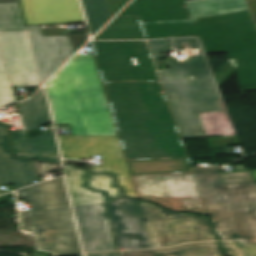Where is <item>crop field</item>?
<instances>
[{
    "instance_id": "1d83c4d3",
    "label": "crop field",
    "mask_w": 256,
    "mask_h": 256,
    "mask_svg": "<svg viewBox=\"0 0 256 256\" xmlns=\"http://www.w3.org/2000/svg\"><path fill=\"white\" fill-rule=\"evenodd\" d=\"M250 256H256V246H246Z\"/></svg>"
},
{
    "instance_id": "412701ff",
    "label": "crop field",
    "mask_w": 256,
    "mask_h": 256,
    "mask_svg": "<svg viewBox=\"0 0 256 256\" xmlns=\"http://www.w3.org/2000/svg\"><path fill=\"white\" fill-rule=\"evenodd\" d=\"M31 202L19 212L21 226L34 232L37 250L53 256L82 254L63 179L58 178L17 191Z\"/></svg>"
},
{
    "instance_id": "730fd06b",
    "label": "crop field",
    "mask_w": 256,
    "mask_h": 256,
    "mask_svg": "<svg viewBox=\"0 0 256 256\" xmlns=\"http://www.w3.org/2000/svg\"><path fill=\"white\" fill-rule=\"evenodd\" d=\"M211 147L241 145L237 136L208 139Z\"/></svg>"
},
{
    "instance_id": "ae1a2a85",
    "label": "crop field",
    "mask_w": 256,
    "mask_h": 256,
    "mask_svg": "<svg viewBox=\"0 0 256 256\" xmlns=\"http://www.w3.org/2000/svg\"><path fill=\"white\" fill-rule=\"evenodd\" d=\"M118 16H138L133 2H131Z\"/></svg>"
},
{
    "instance_id": "34b2d1b8",
    "label": "crop field",
    "mask_w": 256,
    "mask_h": 256,
    "mask_svg": "<svg viewBox=\"0 0 256 256\" xmlns=\"http://www.w3.org/2000/svg\"><path fill=\"white\" fill-rule=\"evenodd\" d=\"M56 124L72 135L117 136L94 60L70 61L46 84Z\"/></svg>"
},
{
    "instance_id": "c035e120",
    "label": "crop field",
    "mask_w": 256,
    "mask_h": 256,
    "mask_svg": "<svg viewBox=\"0 0 256 256\" xmlns=\"http://www.w3.org/2000/svg\"><path fill=\"white\" fill-rule=\"evenodd\" d=\"M192 17V16H191Z\"/></svg>"
},
{
    "instance_id": "e1f06a70",
    "label": "crop field",
    "mask_w": 256,
    "mask_h": 256,
    "mask_svg": "<svg viewBox=\"0 0 256 256\" xmlns=\"http://www.w3.org/2000/svg\"><path fill=\"white\" fill-rule=\"evenodd\" d=\"M82 256V255H81Z\"/></svg>"
},
{
    "instance_id": "5142ce71",
    "label": "crop field",
    "mask_w": 256,
    "mask_h": 256,
    "mask_svg": "<svg viewBox=\"0 0 256 256\" xmlns=\"http://www.w3.org/2000/svg\"><path fill=\"white\" fill-rule=\"evenodd\" d=\"M74 207L85 252L117 250L104 204Z\"/></svg>"
},
{
    "instance_id": "028f5c9d",
    "label": "crop field",
    "mask_w": 256,
    "mask_h": 256,
    "mask_svg": "<svg viewBox=\"0 0 256 256\" xmlns=\"http://www.w3.org/2000/svg\"><path fill=\"white\" fill-rule=\"evenodd\" d=\"M234 64H235V61L234 60H231Z\"/></svg>"
},
{
    "instance_id": "00972430",
    "label": "crop field",
    "mask_w": 256,
    "mask_h": 256,
    "mask_svg": "<svg viewBox=\"0 0 256 256\" xmlns=\"http://www.w3.org/2000/svg\"><path fill=\"white\" fill-rule=\"evenodd\" d=\"M202 121L208 137L237 135L230 118Z\"/></svg>"
},
{
    "instance_id": "28ad6ade",
    "label": "crop field",
    "mask_w": 256,
    "mask_h": 256,
    "mask_svg": "<svg viewBox=\"0 0 256 256\" xmlns=\"http://www.w3.org/2000/svg\"><path fill=\"white\" fill-rule=\"evenodd\" d=\"M18 105L25 130L10 131L14 156L60 162L53 132L26 140L25 132L51 122L43 89Z\"/></svg>"
},
{
    "instance_id": "bd1437ed",
    "label": "crop field",
    "mask_w": 256,
    "mask_h": 256,
    "mask_svg": "<svg viewBox=\"0 0 256 256\" xmlns=\"http://www.w3.org/2000/svg\"><path fill=\"white\" fill-rule=\"evenodd\" d=\"M86 256H118V252L86 254Z\"/></svg>"
},
{
    "instance_id": "4a817a6b",
    "label": "crop field",
    "mask_w": 256,
    "mask_h": 256,
    "mask_svg": "<svg viewBox=\"0 0 256 256\" xmlns=\"http://www.w3.org/2000/svg\"><path fill=\"white\" fill-rule=\"evenodd\" d=\"M172 39L174 40L176 49L182 48L181 47L182 42H187L190 44L191 47L200 48L202 55L189 57L188 63H178L177 60L167 61L169 69L210 66L198 36L178 37V38H172ZM148 42L150 44L151 51L153 53V56L156 62H163V61H159L160 58H163L161 55V52L173 50L169 40H153Z\"/></svg>"
},
{
    "instance_id": "dd49c442",
    "label": "crop field",
    "mask_w": 256,
    "mask_h": 256,
    "mask_svg": "<svg viewBox=\"0 0 256 256\" xmlns=\"http://www.w3.org/2000/svg\"><path fill=\"white\" fill-rule=\"evenodd\" d=\"M193 18L205 53H227L236 61L240 86L256 85V26L248 9Z\"/></svg>"
},
{
    "instance_id": "120bbe31",
    "label": "crop field",
    "mask_w": 256,
    "mask_h": 256,
    "mask_svg": "<svg viewBox=\"0 0 256 256\" xmlns=\"http://www.w3.org/2000/svg\"><path fill=\"white\" fill-rule=\"evenodd\" d=\"M64 162L67 163V164H74L76 166H79V165L84 163V162H81V161H74V160H64Z\"/></svg>"
},
{
    "instance_id": "8a807250",
    "label": "crop field",
    "mask_w": 256,
    "mask_h": 256,
    "mask_svg": "<svg viewBox=\"0 0 256 256\" xmlns=\"http://www.w3.org/2000/svg\"><path fill=\"white\" fill-rule=\"evenodd\" d=\"M131 175L191 171L159 82H103Z\"/></svg>"
},
{
    "instance_id": "4177f3b9",
    "label": "crop field",
    "mask_w": 256,
    "mask_h": 256,
    "mask_svg": "<svg viewBox=\"0 0 256 256\" xmlns=\"http://www.w3.org/2000/svg\"><path fill=\"white\" fill-rule=\"evenodd\" d=\"M223 183L254 182L250 172L220 174Z\"/></svg>"
},
{
    "instance_id": "22f410ed",
    "label": "crop field",
    "mask_w": 256,
    "mask_h": 256,
    "mask_svg": "<svg viewBox=\"0 0 256 256\" xmlns=\"http://www.w3.org/2000/svg\"><path fill=\"white\" fill-rule=\"evenodd\" d=\"M107 206L120 249L151 248L136 199L123 197Z\"/></svg>"
},
{
    "instance_id": "5a996713",
    "label": "crop field",
    "mask_w": 256,
    "mask_h": 256,
    "mask_svg": "<svg viewBox=\"0 0 256 256\" xmlns=\"http://www.w3.org/2000/svg\"><path fill=\"white\" fill-rule=\"evenodd\" d=\"M151 247H166L182 242L217 240L208 217L170 213L146 201L138 200Z\"/></svg>"
},
{
    "instance_id": "214f88e0",
    "label": "crop field",
    "mask_w": 256,
    "mask_h": 256,
    "mask_svg": "<svg viewBox=\"0 0 256 256\" xmlns=\"http://www.w3.org/2000/svg\"><path fill=\"white\" fill-rule=\"evenodd\" d=\"M96 39H146L138 17H117Z\"/></svg>"
},
{
    "instance_id": "e52e79f7",
    "label": "crop field",
    "mask_w": 256,
    "mask_h": 256,
    "mask_svg": "<svg viewBox=\"0 0 256 256\" xmlns=\"http://www.w3.org/2000/svg\"><path fill=\"white\" fill-rule=\"evenodd\" d=\"M183 138L207 137L198 112L223 111L210 67L159 71Z\"/></svg>"
},
{
    "instance_id": "92a150f3",
    "label": "crop field",
    "mask_w": 256,
    "mask_h": 256,
    "mask_svg": "<svg viewBox=\"0 0 256 256\" xmlns=\"http://www.w3.org/2000/svg\"><path fill=\"white\" fill-rule=\"evenodd\" d=\"M154 256H222L217 242L184 244L153 250Z\"/></svg>"
},
{
    "instance_id": "d1516ede",
    "label": "crop field",
    "mask_w": 256,
    "mask_h": 256,
    "mask_svg": "<svg viewBox=\"0 0 256 256\" xmlns=\"http://www.w3.org/2000/svg\"><path fill=\"white\" fill-rule=\"evenodd\" d=\"M148 39L198 35L192 21L166 23V21L191 20L185 0H134Z\"/></svg>"
},
{
    "instance_id": "ac0d7876",
    "label": "crop field",
    "mask_w": 256,
    "mask_h": 256,
    "mask_svg": "<svg viewBox=\"0 0 256 256\" xmlns=\"http://www.w3.org/2000/svg\"><path fill=\"white\" fill-rule=\"evenodd\" d=\"M74 53L67 36L24 26L19 3L0 4V107L16 101L12 87H39Z\"/></svg>"
},
{
    "instance_id": "d9b57169",
    "label": "crop field",
    "mask_w": 256,
    "mask_h": 256,
    "mask_svg": "<svg viewBox=\"0 0 256 256\" xmlns=\"http://www.w3.org/2000/svg\"><path fill=\"white\" fill-rule=\"evenodd\" d=\"M25 25L84 21L77 0H20Z\"/></svg>"
},
{
    "instance_id": "750c4746",
    "label": "crop field",
    "mask_w": 256,
    "mask_h": 256,
    "mask_svg": "<svg viewBox=\"0 0 256 256\" xmlns=\"http://www.w3.org/2000/svg\"><path fill=\"white\" fill-rule=\"evenodd\" d=\"M256 21V0H246Z\"/></svg>"
},
{
    "instance_id": "0bd39190",
    "label": "crop field",
    "mask_w": 256,
    "mask_h": 256,
    "mask_svg": "<svg viewBox=\"0 0 256 256\" xmlns=\"http://www.w3.org/2000/svg\"><path fill=\"white\" fill-rule=\"evenodd\" d=\"M190 173V172H189Z\"/></svg>"
},
{
    "instance_id": "eef30255",
    "label": "crop field",
    "mask_w": 256,
    "mask_h": 256,
    "mask_svg": "<svg viewBox=\"0 0 256 256\" xmlns=\"http://www.w3.org/2000/svg\"><path fill=\"white\" fill-rule=\"evenodd\" d=\"M221 106L224 112H212V113H199L202 119H209V118H223V117H230L227 111L226 105L224 100H221Z\"/></svg>"
},
{
    "instance_id": "dafd665d",
    "label": "crop field",
    "mask_w": 256,
    "mask_h": 256,
    "mask_svg": "<svg viewBox=\"0 0 256 256\" xmlns=\"http://www.w3.org/2000/svg\"><path fill=\"white\" fill-rule=\"evenodd\" d=\"M192 15L248 7L245 0H199L187 3Z\"/></svg>"
},
{
    "instance_id": "3316defc",
    "label": "crop field",
    "mask_w": 256,
    "mask_h": 256,
    "mask_svg": "<svg viewBox=\"0 0 256 256\" xmlns=\"http://www.w3.org/2000/svg\"><path fill=\"white\" fill-rule=\"evenodd\" d=\"M58 138L64 158L85 159L101 154L105 164L89 170L112 174L124 194L136 198L118 137L58 136Z\"/></svg>"
},
{
    "instance_id": "d3111659",
    "label": "crop field",
    "mask_w": 256,
    "mask_h": 256,
    "mask_svg": "<svg viewBox=\"0 0 256 256\" xmlns=\"http://www.w3.org/2000/svg\"><path fill=\"white\" fill-rule=\"evenodd\" d=\"M121 256H153L151 251L120 253Z\"/></svg>"
},
{
    "instance_id": "cbeb9de0",
    "label": "crop field",
    "mask_w": 256,
    "mask_h": 256,
    "mask_svg": "<svg viewBox=\"0 0 256 256\" xmlns=\"http://www.w3.org/2000/svg\"><path fill=\"white\" fill-rule=\"evenodd\" d=\"M66 179L74 205L107 203L123 196L113 178L65 165Z\"/></svg>"
},
{
    "instance_id": "d8731c3e",
    "label": "crop field",
    "mask_w": 256,
    "mask_h": 256,
    "mask_svg": "<svg viewBox=\"0 0 256 256\" xmlns=\"http://www.w3.org/2000/svg\"><path fill=\"white\" fill-rule=\"evenodd\" d=\"M103 81H159L145 41L92 42Z\"/></svg>"
},
{
    "instance_id": "a9b5d70f",
    "label": "crop field",
    "mask_w": 256,
    "mask_h": 256,
    "mask_svg": "<svg viewBox=\"0 0 256 256\" xmlns=\"http://www.w3.org/2000/svg\"><path fill=\"white\" fill-rule=\"evenodd\" d=\"M223 250L231 256H249L245 245L240 241L220 242Z\"/></svg>"
},
{
    "instance_id": "5866460e",
    "label": "crop field",
    "mask_w": 256,
    "mask_h": 256,
    "mask_svg": "<svg viewBox=\"0 0 256 256\" xmlns=\"http://www.w3.org/2000/svg\"><path fill=\"white\" fill-rule=\"evenodd\" d=\"M159 91H162V90H154V91H147V92H159Z\"/></svg>"
},
{
    "instance_id": "f4fd0767",
    "label": "crop field",
    "mask_w": 256,
    "mask_h": 256,
    "mask_svg": "<svg viewBox=\"0 0 256 256\" xmlns=\"http://www.w3.org/2000/svg\"><path fill=\"white\" fill-rule=\"evenodd\" d=\"M194 173L221 240L256 244L255 183L222 184L217 167L196 168Z\"/></svg>"
},
{
    "instance_id": "733c2abd",
    "label": "crop field",
    "mask_w": 256,
    "mask_h": 256,
    "mask_svg": "<svg viewBox=\"0 0 256 256\" xmlns=\"http://www.w3.org/2000/svg\"><path fill=\"white\" fill-rule=\"evenodd\" d=\"M37 179L33 160L11 157L6 126L0 124V184L14 183L17 189Z\"/></svg>"
},
{
    "instance_id": "d32e631a",
    "label": "crop field",
    "mask_w": 256,
    "mask_h": 256,
    "mask_svg": "<svg viewBox=\"0 0 256 256\" xmlns=\"http://www.w3.org/2000/svg\"><path fill=\"white\" fill-rule=\"evenodd\" d=\"M12 2H19L18 0H0V3H12Z\"/></svg>"
},
{
    "instance_id": "bc2a9ffb",
    "label": "crop field",
    "mask_w": 256,
    "mask_h": 256,
    "mask_svg": "<svg viewBox=\"0 0 256 256\" xmlns=\"http://www.w3.org/2000/svg\"><path fill=\"white\" fill-rule=\"evenodd\" d=\"M128 1L129 0H82L93 34L101 29Z\"/></svg>"
},
{
    "instance_id": "b80d0937",
    "label": "crop field",
    "mask_w": 256,
    "mask_h": 256,
    "mask_svg": "<svg viewBox=\"0 0 256 256\" xmlns=\"http://www.w3.org/2000/svg\"><path fill=\"white\" fill-rule=\"evenodd\" d=\"M1 194V193H0Z\"/></svg>"
}]
</instances>
